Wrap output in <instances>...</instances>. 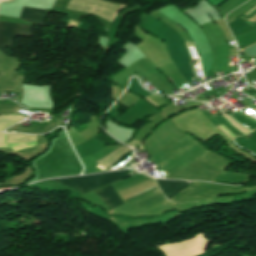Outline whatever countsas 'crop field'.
I'll use <instances>...</instances> for the list:
<instances>
[{
    "label": "crop field",
    "mask_w": 256,
    "mask_h": 256,
    "mask_svg": "<svg viewBox=\"0 0 256 256\" xmlns=\"http://www.w3.org/2000/svg\"><path fill=\"white\" fill-rule=\"evenodd\" d=\"M128 176H129V170H123V171L99 174V175L63 178V179H57L54 181L59 182L68 187H71L82 193H85L92 189L98 188L100 186L106 185L108 183L114 182L119 179L126 178Z\"/></svg>",
    "instance_id": "crop-field-1"
},
{
    "label": "crop field",
    "mask_w": 256,
    "mask_h": 256,
    "mask_svg": "<svg viewBox=\"0 0 256 256\" xmlns=\"http://www.w3.org/2000/svg\"><path fill=\"white\" fill-rule=\"evenodd\" d=\"M33 25L0 21V52L6 55L7 47L13 48L15 36L32 37Z\"/></svg>",
    "instance_id": "crop-field-2"
},
{
    "label": "crop field",
    "mask_w": 256,
    "mask_h": 256,
    "mask_svg": "<svg viewBox=\"0 0 256 256\" xmlns=\"http://www.w3.org/2000/svg\"><path fill=\"white\" fill-rule=\"evenodd\" d=\"M147 176V175H145ZM149 177V176H148ZM97 197L109 208H115L122 205V202L117 197L110 185L94 191Z\"/></svg>",
    "instance_id": "crop-field-3"
},
{
    "label": "crop field",
    "mask_w": 256,
    "mask_h": 256,
    "mask_svg": "<svg viewBox=\"0 0 256 256\" xmlns=\"http://www.w3.org/2000/svg\"><path fill=\"white\" fill-rule=\"evenodd\" d=\"M156 181L161 191L168 199L189 184L185 181L157 180V179Z\"/></svg>",
    "instance_id": "crop-field-4"
},
{
    "label": "crop field",
    "mask_w": 256,
    "mask_h": 256,
    "mask_svg": "<svg viewBox=\"0 0 256 256\" xmlns=\"http://www.w3.org/2000/svg\"><path fill=\"white\" fill-rule=\"evenodd\" d=\"M49 11L39 9L24 8L20 19H23L31 24H44Z\"/></svg>",
    "instance_id": "crop-field-5"
},
{
    "label": "crop field",
    "mask_w": 256,
    "mask_h": 256,
    "mask_svg": "<svg viewBox=\"0 0 256 256\" xmlns=\"http://www.w3.org/2000/svg\"><path fill=\"white\" fill-rule=\"evenodd\" d=\"M254 8H256V6H255V7H253L252 9H250V10L246 13V15H247L251 10H253Z\"/></svg>",
    "instance_id": "crop-field-6"
}]
</instances>
